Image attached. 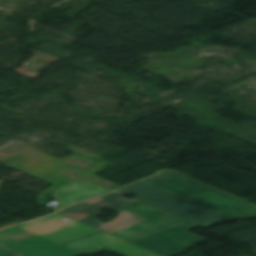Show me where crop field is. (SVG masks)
Here are the masks:
<instances>
[{
  "label": "crop field",
  "mask_w": 256,
  "mask_h": 256,
  "mask_svg": "<svg viewBox=\"0 0 256 256\" xmlns=\"http://www.w3.org/2000/svg\"><path fill=\"white\" fill-rule=\"evenodd\" d=\"M120 208L147 219L109 234L162 256H174L205 240L188 230L198 225L131 199Z\"/></svg>",
  "instance_id": "crop-field-1"
},
{
  "label": "crop field",
  "mask_w": 256,
  "mask_h": 256,
  "mask_svg": "<svg viewBox=\"0 0 256 256\" xmlns=\"http://www.w3.org/2000/svg\"><path fill=\"white\" fill-rule=\"evenodd\" d=\"M141 181L232 219L256 217V205L244 202L242 199L179 174L172 169L162 170Z\"/></svg>",
  "instance_id": "crop-field-2"
},
{
  "label": "crop field",
  "mask_w": 256,
  "mask_h": 256,
  "mask_svg": "<svg viewBox=\"0 0 256 256\" xmlns=\"http://www.w3.org/2000/svg\"><path fill=\"white\" fill-rule=\"evenodd\" d=\"M126 195L136 196L134 199L202 225L204 227L232 220L192 202L162 191L146 183L138 181L117 190Z\"/></svg>",
  "instance_id": "crop-field-3"
},
{
  "label": "crop field",
  "mask_w": 256,
  "mask_h": 256,
  "mask_svg": "<svg viewBox=\"0 0 256 256\" xmlns=\"http://www.w3.org/2000/svg\"><path fill=\"white\" fill-rule=\"evenodd\" d=\"M131 201L122 198L121 194L112 192L106 195H102L91 200L79 203L74 206L67 207L59 213L84 222L93 227L102 229L106 232L113 231L115 229L121 228L123 226L132 224L134 222L145 219L143 217L137 216L130 212L124 211L122 209L118 210L120 215L118 218L114 219L110 223L104 224L96 220L100 209L113 205L115 207H120Z\"/></svg>",
  "instance_id": "crop-field-4"
},
{
  "label": "crop field",
  "mask_w": 256,
  "mask_h": 256,
  "mask_svg": "<svg viewBox=\"0 0 256 256\" xmlns=\"http://www.w3.org/2000/svg\"><path fill=\"white\" fill-rule=\"evenodd\" d=\"M0 245L25 256H77L81 254L17 226L0 231Z\"/></svg>",
  "instance_id": "crop-field-5"
},
{
  "label": "crop field",
  "mask_w": 256,
  "mask_h": 256,
  "mask_svg": "<svg viewBox=\"0 0 256 256\" xmlns=\"http://www.w3.org/2000/svg\"><path fill=\"white\" fill-rule=\"evenodd\" d=\"M65 217L56 213L18 226L61 244L99 231L69 217L70 220H61Z\"/></svg>",
  "instance_id": "crop-field-6"
},
{
  "label": "crop field",
  "mask_w": 256,
  "mask_h": 256,
  "mask_svg": "<svg viewBox=\"0 0 256 256\" xmlns=\"http://www.w3.org/2000/svg\"><path fill=\"white\" fill-rule=\"evenodd\" d=\"M64 246L85 254L107 250L121 256H159L132 243H127L113 237L105 232Z\"/></svg>",
  "instance_id": "crop-field-7"
},
{
  "label": "crop field",
  "mask_w": 256,
  "mask_h": 256,
  "mask_svg": "<svg viewBox=\"0 0 256 256\" xmlns=\"http://www.w3.org/2000/svg\"><path fill=\"white\" fill-rule=\"evenodd\" d=\"M107 191L110 190L84 179H73L55 188L53 194L49 196L59 200V204L65 206Z\"/></svg>",
  "instance_id": "crop-field-8"
},
{
  "label": "crop field",
  "mask_w": 256,
  "mask_h": 256,
  "mask_svg": "<svg viewBox=\"0 0 256 256\" xmlns=\"http://www.w3.org/2000/svg\"><path fill=\"white\" fill-rule=\"evenodd\" d=\"M17 255H21V254L0 246V256H17Z\"/></svg>",
  "instance_id": "crop-field-9"
}]
</instances>
